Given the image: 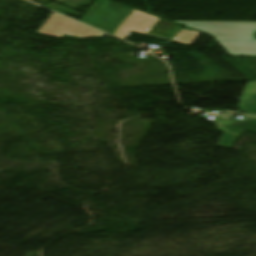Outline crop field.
<instances>
[{"label":"crop field","mask_w":256,"mask_h":256,"mask_svg":"<svg viewBox=\"0 0 256 256\" xmlns=\"http://www.w3.org/2000/svg\"><path fill=\"white\" fill-rule=\"evenodd\" d=\"M241 109L249 115L256 116V82L248 83L241 100Z\"/></svg>","instance_id":"5"},{"label":"crop field","mask_w":256,"mask_h":256,"mask_svg":"<svg viewBox=\"0 0 256 256\" xmlns=\"http://www.w3.org/2000/svg\"><path fill=\"white\" fill-rule=\"evenodd\" d=\"M216 127L225 131L218 146L232 148L240 133L245 130L256 132V118L245 117L237 121L218 119Z\"/></svg>","instance_id":"2"},{"label":"crop field","mask_w":256,"mask_h":256,"mask_svg":"<svg viewBox=\"0 0 256 256\" xmlns=\"http://www.w3.org/2000/svg\"><path fill=\"white\" fill-rule=\"evenodd\" d=\"M186 27L256 28V22L173 21Z\"/></svg>","instance_id":"4"},{"label":"crop field","mask_w":256,"mask_h":256,"mask_svg":"<svg viewBox=\"0 0 256 256\" xmlns=\"http://www.w3.org/2000/svg\"><path fill=\"white\" fill-rule=\"evenodd\" d=\"M50 17V16H49ZM41 33L43 36L63 38L65 35L75 36L74 39L82 38H102L105 34L84 26L80 23L62 17L53 13L51 17L44 23V25L36 33Z\"/></svg>","instance_id":"1"},{"label":"crop field","mask_w":256,"mask_h":256,"mask_svg":"<svg viewBox=\"0 0 256 256\" xmlns=\"http://www.w3.org/2000/svg\"><path fill=\"white\" fill-rule=\"evenodd\" d=\"M181 26L147 14L134 32L171 40Z\"/></svg>","instance_id":"3"}]
</instances>
